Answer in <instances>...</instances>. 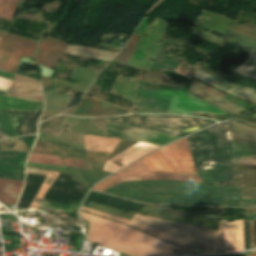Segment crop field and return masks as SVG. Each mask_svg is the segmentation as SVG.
Returning a JSON list of instances; mask_svg holds the SVG:
<instances>
[{
  "mask_svg": "<svg viewBox=\"0 0 256 256\" xmlns=\"http://www.w3.org/2000/svg\"><path fill=\"white\" fill-rule=\"evenodd\" d=\"M168 148L170 149L172 154L175 156L179 165L183 168L185 172L175 173L159 150H156L146 155L141 160L152 172H170L175 174H197L186 138L178 140L168 145Z\"/></svg>",
  "mask_w": 256,
  "mask_h": 256,
  "instance_id": "3",
  "label": "crop field"
},
{
  "mask_svg": "<svg viewBox=\"0 0 256 256\" xmlns=\"http://www.w3.org/2000/svg\"><path fill=\"white\" fill-rule=\"evenodd\" d=\"M0 109L41 111L42 102L0 96Z\"/></svg>",
  "mask_w": 256,
  "mask_h": 256,
  "instance_id": "16",
  "label": "crop field"
},
{
  "mask_svg": "<svg viewBox=\"0 0 256 256\" xmlns=\"http://www.w3.org/2000/svg\"><path fill=\"white\" fill-rule=\"evenodd\" d=\"M251 254H256L255 250L251 251Z\"/></svg>",
  "mask_w": 256,
  "mask_h": 256,
  "instance_id": "46",
  "label": "crop field"
},
{
  "mask_svg": "<svg viewBox=\"0 0 256 256\" xmlns=\"http://www.w3.org/2000/svg\"><path fill=\"white\" fill-rule=\"evenodd\" d=\"M2 0H0V3H1Z\"/></svg>",
  "mask_w": 256,
  "mask_h": 256,
  "instance_id": "49",
  "label": "crop field"
},
{
  "mask_svg": "<svg viewBox=\"0 0 256 256\" xmlns=\"http://www.w3.org/2000/svg\"><path fill=\"white\" fill-rule=\"evenodd\" d=\"M173 86L139 81L134 105L144 111L167 114Z\"/></svg>",
  "mask_w": 256,
  "mask_h": 256,
  "instance_id": "4",
  "label": "crop field"
},
{
  "mask_svg": "<svg viewBox=\"0 0 256 256\" xmlns=\"http://www.w3.org/2000/svg\"><path fill=\"white\" fill-rule=\"evenodd\" d=\"M120 183L119 180L116 178V176H112L100 183H98L95 187L92 188V190H99V191H103L107 188H109L110 186L114 185V184H118Z\"/></svg>",
  "mask_w": 256,
  "mask_h": 256,
  "instance_id": "33",
  "label": "crop field"
},
{
  "mask_svg": "<svg viewBox=\"0 0 256 256\" xmlns=\"http://www.w3.org/2000/svg\"><path fill=\"white\" fill-rule=\"evenodd\" d=\"M252 116H256V114L252 115Z\"/></svg>",
  "mask_w": 256,
  "mask_h": 256,
  "instance_id": "48",
  "label": "crop field"
},
{
  "mask_svg": "<svg viewBox=\"0 0 256 256\" xmlns=\"http://www.w3.org/2000/svg\"><path fill=\"white\" fill-rule=\"evenodd\" d=\"M80 216L90 223L88 241L128 256L192 255L179 247L121 223L96 217L82 211Z\"/></svg>",
  "mask_w": 256,
  "mask_h": 256,
  "instance_id": "2",
  "label": "crop field"
},
{
  "mask_svg": "<svg viewBox=\"0 0 256 256\" xmlns=\"http://www.w3.org/2000/svg\"><path fill=\"white\" fill-rule=\"evenodd\" d=\"M23 182L0 179V202L16 205Z\"/></svg>",
  "mask_w": 256,
  "mask_h": 256,
  "instance_id": "15",
  "label": "crop field"
},
{
  "mask_svg": "<svg viewBox=\"0 0 256 256\" xmlns=\"http://www.w3.org/2000/svg\"><path fill=\"white\" fill-rule=\"evenodd\" d=\"M11 84H12V81H8L0 78V87L9 89Z\"/></svg>",
  "mask_w": 256,
  "mask_h": 256,
  "instance_id": "40",
  "label": "crop field"
},
{
  "mask_svg": "<svg viewBox=\"0 0 256 256\" xmlns=\"http://www.w3.org/2000/svg\"><path fill=\"white\" fill-rule=\"evenodd\" d=\"M22 171H24V167L0 166V178L24 181V174H22Z\"/></svg>",
  "mask_w": 256,
  "mask_h": 256,
  "instance_id": "21",
  "label": "crop field"
},
{
  "mask_svg": "<svg viewBox=\"0 0 256 256\" xmlns=\"http://www.w3.org/2000/svg\"><path fill=\"white\" fill-rule=\"evenodd\" d=\"M39 68L42 73V76H51L54 71L53 69L42 67V66H39Z\"/></svg>",
  "mask_w": 256,
  "mask_h": 256,
  "instance_id": "39",
  "label": "crop field"
},
{
  "mask_svg": "<svg viewBox=\"0 0 256 256\" xmlns=\"http://www.w3.org/2000/svg\"><path fill=\"white\" fill-rule=\"evenodd\" d=\"M27 165L39 166V167H47V168H55V169H63V170L67 169V168H62V167L43 166V165H36V164H30V163H27Z\"/></svg>",
  "mask_w": 256,
  "mask_h": 256,
  "instance_id": "42",
  "label": "crop field"
},
{
  "mask_svg": "<svg viewBox=\"0 0 256 256\" xmlns=\"http://www.w3.org/2000/svg\"><path fill=\"white\" fill-rule=\"evenodd\" d=\"M194 77L202 80L203 82H205L211 86L221 89L229 94L237 96L241 99L256 102V89H252V88L244 87V86H241L238 84H234V83L228 82L226 80L220 79L218 77L208 75L199 70H197ZM219 80H221V82H218Z\"/></svg>",
  "mask_w": 256,
  "mask_h": 256,
  "instance_id": "9",
  "label": "crop field"
},
{
  "mask_svg": "<svg viewBox=\"0 0 256 256\" xmlns=\"http://www.w3.org/2000/svg\"><path fill=\"white\" fill-rule=\"evenodd\" d=\"M244 250L243 220L225 226V253Z\"/></svg>",
  "mask_w": 256,
  "mask_h": 256,
  "instance_id": "12",
  "label": "crop field"
},
{
  "mask_svg": "<svg viewBox=\"0 0 256 256\" xmlns=\"http://www.w3.org/2000/svg\"><path fill=\"white\" fill-rule=\"evenodd\" d=\"M27 173L30 174H38V175H47L48 171H41V170H35V169H29L27 168ZM59 175L58 172H52L49 171L48 175L46 176L43 184L41 185V187L39 188L30 209H37L41 198L43 197L44 193L47 191V189L52 185V183L54 182V180L57 178V176Z\"/></svg>",
  "mask_w": 256,
  "mask_h": 256,
  "instance_id": "17",
  "label": "crop field"
},
{
  "mask_svg": "<svg viewBox=\"0 0 256 256\" xmlns=\"http://www.w3.org/2000/svg\"><path fill=\"white\" fill-rule=\"evenodd\" d=\"M115 174L121 182L141 180L154 176L140 160H137L135 163L123 168Z\"/></svg>",
  "mask_w": 256,
  "mask_h": 256,
  "instance_id": "14",
  "label": "crop field"
},
{
  "mask_svg": "<svg viewBox=\"0 0 256 256\" xmlns=\"http://www.w3.org/2000/svg\"><path fill=\"white\" fill-rule=\"evenodd\" d=\"M0 124L10 137L18 136L6 110H0Z\"/></svg>",
  "mask_w": 256,
  "mask_h": 256,
  "instance_id": "30",
  "label": "crop field"
},
{
  "mask_svg": "<svg viewBox=\"0 0 256 256\" xmlns=\"http://www.w3.org/2000/svg\"><path fill=\"white\" fill-rule=\"evenodd\" d=\"M14 76L15 75H13V74L0 71V77L7 78V79H10V80L13 81L14 80Z\"/></svg>",
  "mask_w": 256,
  "mask_h": 256,
  "instance_id": "41",
  "label": "crop field"
},
{
  "mask_svg": "<svg viewBox=\"0 0 256 256\" xmlns=\"http://www.w3.org/2000/svg\"><path fill=\"white\" fill-rule=\"evenodd\" d=\"M189 91H191L193 94L200 97L201 99H203L211 104H214L232 114H234L240 110H243V109L221 99L225 94H223L211 87H208L194 79L192 81Z\"/></svg>",
  "mask_w": 256,
  "mask_h": 256,
  "instance_id": "10",
  "label": "crop field"
},
{
  "mask_svg": "<svg viewBox=\"0 0 256 256\" xmlns=\"http://www.w3.org/2000/svg\"><path fill=\"white\" fill-rule=\"evenodd\" d=\"M62 159L64 163L69 167L91 168L87 160L68 159V158H62ZM27 162L43 164V165L66 167L65 165H63V162L61 161L60 157L43 155V154L30 153L27 159Z\"/></svg>",
  "mask_w": 256,
  "mask_h": 256,
  "instance_id": "13",
  "label": "crop field"
},
{
  "mask_svg": "<svg viewBox=\"0 0 256 256\" xmlns=\"http://www.w3.org/2000/svg\"><path fill=\"white\" fill-rule=\"evenodd\" d=\"M23 62L33 64L32 60L26 59V58H22V61H21V64H20V66H19L18 71L20 70V68H21V66H22V64H23Z\"/></svg>",
  "mask_w": 256,
  "mask_h": 256,
  "instance_id": "43",
  "label": "crop field"
},
{
  "mask_svg": "<svg viewBox=\"0 0 256 256\" xmlns=\"http://www.w3.org/2000/svg\"><path fill=\"white\" fill-rule=\"evenodd\" d=\"M78 173L84 178V180L92 184L102 177L109 174V172L106 171H98V170H85V169H77Z\"/></svg>",
  "mask_w": 256,
  "mask_h": 256,
  "instance_id": "24",
  "label": "crop field"
},
{
  "mask_svg": "<svg viewBox=\"0 0 256 256\" xmlns=\"http://www.w3.org/2000/svg\"><path fill=\"white\" fill-rule=\"evenodd\" d=\"M241 206L256 207V199L242 197Z\"/></svg>",
  "mask_w": 256,
  "mask_h": 256,
  "instance_id": "37",
  "label": "crop field"
},
{
  "mask_svg": "<svg viewBox=\"0 0 256 256\" xmlns=\"http://www.w3.org/2000/svg\"><path fill=\"white\" fill-rule=\"evenodd\" d=\"M28 153L1 151L0 164L2 165H24Z\"/></svg>",
  "mask_w": 256,
  "mask_h": 256,
  "instance_id": "18",
  "label": "crop field"
},
{
  "mask_svg": "<svg viewBox=\"0 0 256 256\" xmlns=\"http://www.w3.org/2000/svg\"><path fill=\"white\" fill-rule=\"evenodd\" d=\"M247 256H254V255H249V254H247Z\"/></svg>",
  "mask_w": 256,
  "mask_h": 256,
  "instance_id": "47",
  "label": "crop field"
},
{
  "mask_svg": "<svg viewBox=\"0 0 256 256\" xmlns=\"http://www.w3.org/2000/svg\"><path fill=\"white\" fill-rule=\"evenodd\" d=\"M158 146H155V145H150V144H147L141 148H139L138 150L130 153L129 155L121 158L123 159L124 161L120 162L123 166L128 164L129 162L133 161L134 159L144 155L145 153L151 151L152 149L156 148ZM122 166V167H123ZM121 168V167H120ZM103 170H107V171H111V172H114L116 170H118V168L112 166L111 164L109 163H106V166L104 167Z\"/></svg>",
  "mask_w": 256,
  "mask_h": 256,
  "instance_id": "19",
  "label": "crop field"
},
{
  "mask_svg": "<svg viewBox=\"0 0 256 256\" xmlns=\"http://www.w3.org/2000/svg\"><path fill=\"white\" fill-rule=\"evenodd\" d=\"M232 163L256 165V152L233 150Z\"/></svg>",
  "mask_w": 256,
  "mask_h": 256,
  "instance_id": "22",
  "label": "crop field"
},
{
  "mask_svg": "<svg viewBox=\"0 0 256 256\" xmlns=\"http://www.w3.org/2000/svg\"><path fill=\"white\" fill-rule=\"evenodd\" d=\"M36 43L5 34L0 42V70L15 74L22 56L33 57Z\"/></svg>",
  "mask_w": 256,
  "mask_h": 256,
  "instance_id": "5",
  "label": "crop field"
},
{
  "mask_svg": "<svg viewBox=\"0 0 256 256\" xmlns=\"http://www.w3.org/2000/svg\"><path fill=\"white\" fill-rule=\"evenodd\" d=\"M199 64H200V63L197 62L194 68H192V67L188 68V67H184V66L179 65L178 68L176 69V72L182 74L183 76H185V77H187L188 79L191 80V78L193 77L194 73L196 72V70H197ZM176 72H175V73H176ZM178 73H177V74H178ZM180 74H179V75H180ZM182 75H181V76H182Z\"/></svg>",
  "mask_w": 256,
  "mask_h": 256,
  "instance_id": "34",
  "label": "crop field"
},
{
  "mask_svg": "<svg viewBox=\"0 0 256 256\" xmlns=\"http://www.w3.org/2000/svg\"><path fill=\"white\" fill-rule=\"evenodd\" d=\"M249 226H250V240H251V248H253V247H255L253 221H249Z\"/></svg>",
  "mask_w": 256,
  "mask_h": 256,
  "instance_id": "38",
  "label": "crop field"
},
{
  "mask_svg": "<svg viewBox=\"0 0 256 256\" xmlns=\"http://www.w3.org/2000/svg\"><path fill=\"white\" fill-rule=\"evenodd\" d=\"M226 256H246V254L226 255Z\"/></svg>",
  "mask_w": 256,
  "mask_h": 256,
  "instance_id": "44",
  "label": "crop field"
},
{
  "mask_svg": "<svg viewBox=\"0 0 256 256\" xmlns=\"http://www.w3.org/2000/svg\"><path fill=\"white\" fill-rule=\"evenodd\" d=\"M233 148L256 151V142L233 139Z\"/></svg>",
  "mask_w": 256,
  "mask_h": 256,
  "instance_id": "32",
  "label": "crop field"
},
{
  "mask_svg": "<svg viewBox=\"0 0 256 256\" xmlns=\"http://www.w3.org/2000/svg\"><path fill=\"white\" fill-rule=\"evenodd\" d=\"M139 201L154 203H181L195 205H229L239 206L240 189L209 186L173 180L138 181L121 183L104 192Z\"/></svg>",
  "mask_w": 256,
  "mask_h": 256,
  "instance_id": "1",
  "label": "crop field"
},
{
  "mask_svg": "<svg viewBox=\"0 0 256 256\" xmlns=\"http://www.w3.org/2000/svg\"><path fill=\"white\" fill-rule=\"evenodd\" d=\"M217 253H224V220H220Z\"/></svg>",
  "mask_w": 256,
  "mask_h": 256,
  "instance_id": "35",
  "label": "crop field"
},
{
  "mask_svg": "<svg viewBox=\"0 0 256 256\" xmlns=\"http://www.w3.org/2000/svg\"><path fill=\"white\" fill-rule=\"evenodd\" d=\"M0 91H5V92H7V89L0 88Z\"/></svg>",
  "mask_w": 256,
  "mask_h": 256,
  "instance_id": "45",
  "label": "crop field"
},
{
  "mask_svg": "<svg viewBox=\"0 0 256 256\" xmlns=\"http://www.w3.org/2000/svg\"><path fill=\"white\" fill-rule=\"evenodd\" d=\"M234 72L256 79V51H251L249 60L238 67Z\"/></svg>",
  "mask_w": 256,
  "mask_h": 256,
  "instance_id": "20",
  "label": "crop field"
},
{
  "mask_svg": "<svg viewBox=\"0 0 256 256\" xmlns=\"http://www.w3.org/2000/svg\"><path fill=\"white\" fill-rule=\"evenodd\" d=\"M106 126L115 128L117 131V132H112V131L106 130V136H110V137L126 138V139H132V140L159 144V145H163L177 138V137L168 136V135H164L156 132L132 129V128H127L122 126H116V125H110V124H107Z\"/></svg>",
  "mask_w": 256,
  "mask_h": 256,
  "instance_id": "7",
  "label": "crop field"
},
{
  "mask_svg": "<svg viewBox=\"0 0 256 256\" xmlns=\"http://www.w3.org/2000/svg\"><path fill=\"white\" fill-rule=\"evenodd\" d=\"M2 37H0V40H1Z\"/></svg>",
  "mask_w": 256,
  "mask_h": 256,
  "instance_id": "50",
  "label": "crop field"
},
{
  "mask_svg": "<svg viewBox=\"0 0 256 256\" xmlns=\"http://www.w3.org/2000/svg\"><path fill=\"white\" fill-rule=\"evenodd\" d=\"M215 167V184H219L220 181L229 182L232 166L214 165Z\"/></svg>",
  "mask_w": 256,
  "mask_h": 256,
  "instance_id": "27",
  "label": "crop field"
},
{
  "mask_svg": "<svg viewBox=\"0 0 256 256\" xmlns=\"http://www.w3.org/2000/svg\"><path fill=\"white\" fill-rule=\"evenodd\" d=\"M156 177L144 179V180H164V179H173V180H181V181H189V182H199L202 183L201 179L198 175H170V174H159L154 173Z\"/></svg>",
  "mask_w": 256,
  "mask_h": 256,
  "instance_id": "23",
  "label": "crop field"
},
{
  "mask_svg": "<svg viewBox=\"0 0 256 256\" xmlns=\"http://www.w3.org/2000/svg\"><path fill=\"white\" fill-rule=\"evenodd\" d=\"M18 0H3L0 6V17L12 19Z\"/></svg>",
  "mask_w": 256,
  "mask_h": 256,
  "instance_id": "28",
  "label": "crop field"
},
{
  "mask_svg": "<svg viewBox=\"0 0 256 256\" xmlns=\"http://www.w3.org/2000/svg\"><path fill=\"white\" fill-rule=\"evenodd\" d=\"M138 38L139 36H133L126 48L115 58V60L126 64L136 48Z\"/></svg>",
  "mask_w": 256,
  "mask_h": 256,
  "instance_id": "26",
  "label": "crop field"
},
{
  "mask_svg": "<svg viewBox=\"0 0 256 256\" xmlns=\"http://www.w3.org/2000/svg\"><path fill=\"white\" fill-rule=\"evenodd\" d=\"M190 113L225 114L227 112L186 92V88L174 86L169 114L190 115Z\"/></svg>",
  "mask_w": 256,
  "mask_h": 256,
  "instance_id": "6",
  "label": "crop field"
},
{
  "mask_svg": "<svg viewBox=\"0 0 256 256\" xmlns=\"http://www.w3.org/2000/svg\"><path fill=\"white\" fill-rule=\"evenodd\" d=\"M160 151L164 155V157L167 159V161L170 163L172 168L175 170V172L183 171L181 167L178 165L176 159L173 157L167 146L160 148Z\"/></svg>",
  "mask_w": 256,
  "mask_h": 256,
  "instance_id": "31",
  "label": "crop field"
},
{
  "mask_svg": "<svg viewBox=\"0 0 256 256\" xmlns=\"http://www.w3.org/2000/svg\"><path fill=\"white\" fill-rule=\"evenodd\" d=\"M67 46L68 43L47 36L39 44L35 54V62L54 69Z\"/></svg>",
  "mask_w": 256,
  "mask_h": 256,
  "instance_id": "8",
  "label": "crop field"
},
{
  "mask_svg": "<svg viewBox=\"0 0 256 256\" xmlns=\"http://www.w3.org/2000/svg\"><path fill=\"white\" fill-rule=\"evenodd\" d=\"M16 145L13 149H4V150H14V151H21V152H28L27 146L19 139H11Z\"/></svg>",
  "mask_w": 256,
  "mask_h": 256,
  "instance_id": "36",
  "label": "crop field"
},
{
  "mask_svg": "<svg viewBox=\"0 0 256 256\" xmlns=\"http://www.w3.org/2000/svg\"><path fill=\"white\" fill-rule=\"evenodd\" d=\"M11 87H14V91L8 90L6 94L8 96L43 101L40 85L35 80L22 76H15V80Z\"/></svg>",
  "mask_w": 256,
  "mask_h": 256,
  "instance_id": "11",
  "label": "crop field"
},
{
  "mask_svg": "<svg viewBox=\"0 0 256 256\" xmlns=\"http://www.w3.org/2000/svg\"><path fill=\"white\" fill-rule=\"evenodd\" d=\"M234 138L256 141V131L235 124Z\"/></svg>",
  "mask_w": 256,
  "mask_h": 256,
  "instance_id": "29",
  "label": "crop field"
},
{
  "mask_svg": "<svg viewBox=\"0 0 256 256\" xmlns=\"http://www.w3.org/2000/svg\"><path fill=\"white\" fill-rule=\"evenodd\" d=\"M39 208L50 209V210L59 211L63 213H70L76 210V207L63 205V204H59V203H55V202H51L43 199L39 205Z\"/></svg>",
  "mask_w": 256,
  "mask_h": 256,
  "instance_id": "25",
  "label": "crop field"
}]
</instances>
